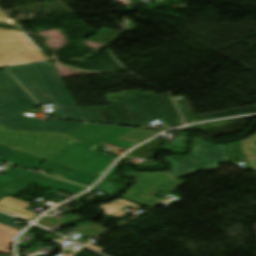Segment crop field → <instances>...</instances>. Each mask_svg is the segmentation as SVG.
<instances>
[{"instance_id":"25","label":"crop field","mask_w":256,"mask_h":256,"mask_svg":"<svg viewBox=\"0 0 256 256\" xmlns=\"http://www.w3.org/2000/svg\"><path fill=\"white\" fill-rule=\"evenodd\" d=\"M43 218H48V219L54 220V221H56L58 223H61V224H65V223H69V222L81 219L80 217H77V216H74V215H70V214H68L64 218L60 219L59 221L56 220V219H53V218L45 217V216H43Z\"/></svg>"},{"instance_id":"6","label":"crop field","mask_w":256,"mask_h":256,"mask_svg":"<svg viewBox=\"0 0 256 256\" xmlns=\"http://www.w3.org/2000/svg\"><path fill=\"white\" fill-rule=\"evenodd\" d=\"M72 140L65 134L14 132L0 126L1 145L44 159Z\"/></svg>"},{"instance_id":"15","label":"crop field","mask_w":256,"mask_h":256,"mask_svg":"<svg viewBox=\"0 0 256 256\" xmlns=\"http://www.w3.org/2000/svg\"><path fill=\"white\" fill-rule=\"evenodd\" d=\"M29 156L30 155L19 152L17 150H13L10 153H8L7 155L0 158V163L2 160H4V161L11 162L14 165H18L22 160L26 159ZM17 178L18 177L8 175V174H6L5 176L0 175V183L8 184Z\"/></svg>"},{"instance_id":"30","label":"crop field","mask_w":256,"mask_h":256,"mask_svg":"<svg viewBox=\"0 0 256 256\" xmlns=\"http://www.w3.org/2000/svg\"><path fill=\"white\" fill-rule=\"evenodd\" d=\"M9 18L0 10V22L1 23H8L7 20Z\"/></svg>"},{"instance_id":"5","label":"crop field","mask_w":256,"mask_h":256,"mask_svg":"<svg viewBox=\"0 0 256 256\" xmlns=\"http://www.w3.org/2000/svg\"><path fill=\"white\" fill-rule=\"evenodd\" d=\"M176 179L195 173L197 170L219 169L222 161H229L225 145L210 144L194 137L191 153L185 156L166 158Z\"/></svg>"},{"instance_id":"22","label":"crop field","mask_w":256,"mask_h":256,"mask_svg":"<svg viewBox=\"0 0 256 256\" xmlns=\"http://www.w3.org/2000/svg\"><path fill=\"white\" fill-rule=\"evenodd\" d=\"M124 185L119 184V183H115L109 180H105L103 179V181L98 184L95 189L101 190L103 192L109 193V194H116L121 187H123Z\"/></svg>"},{"instance_id":"14","label":"crop field","mask_w":256,"mask_h":256,"mask_svg":"<svg viewBox=\"0 0 256 256\" xmlns=\"http://www.w3.org/2000/svg\"><path fill=\"white\" fill-rule=\"evenodd\" d=\"M78 229L76 230H73L79 234H81L82 236L77 238V239H74L82 244H85L87 242H89L88 240L82 238L83 236L90 239V238H93L97 235H99L100 233H102L104 230V228L92 223V222H89V223H86V224H83V225H80V226H77Z\"/></svg>"},{"instance_id":"10","label":"crop field","mask_w":256,"mask_h":256,"mask_svg":"<svg viewBox=\"0 0 256 256\" xmlns=\"http://www.w3.org/2000/svg\"><path fill=\"white\" fill-rule=\"evenodd\" d=\"M176 103H177L179 109L181 110L186 123L195 122V121H203V120L213 119V118L228 117V116H233V115L249 114V113L256 112V107L250 106V107H245V108L228 110V111H224V112L217 113V114L195 117L193 112L189 111L185 101L176 102Z\"/></svg>"},{"instance_id":"12","label":"crop field","mask_w":256,"mask_h":256,"mask_svg":"<svg viewBox=\"0 0 256 256\" xmlns=\"http://www.w3.org/2000/svg\"><path fill=\"white\" fill-rule=\"evenodd\" d=\"M30 204L31 203L7 196L0 201V210L27 220H33V218L36 216V213L23 210Z\"/></svg>"},{"instance_id":"17","label":"crop field","mask_w":256,"mask_h":256,"mask_svg":"<svg viewBox=\"0 0 256 256\" xmlns=\"http://www.w3.org/2000/svg\"><path fill=\"white\" fill-rule=\"evenodd\" d=\"M18 234V230L0 225V252L11 255L9 246Z\"/></svg>"},{"instance_id":"19","label":"crop field","mask_w":256,"mask_h":256,"mask_svg":"<svg viewBox=\"0 0 256 256\" xmlns=\"http://www.w3.org/2000/svg\"><path fill=\"white\" fill-rule=\"evenodd\" d=\"M97 178L98 177L94 175L78 170L74 174H72L70 177L65 179V181H69L72 183L89 187L91 184H93L97 180Z\"/></svg>"},{"instance_id":"8","label":"crop field","mask_w":256,"mask_h":256,"mask_svg":"<svg viewBox=\"0 0 256 256\" xmlns=\"http://www.w3.org/2000/svg\"><path fill=\"white\" fill-rule=\"evenodd\" d=\"M126 176L138 179L137 184L127 191L125 197L140 204L152 207L157 203L140 198L145 193L155 189L159 191H172L179 188L184 181L176 180L170 172L137 173L126 172Z\"/></svg>"},{"instance_id":"28","label":"crop field","mask_w":256,"mask_h":256,"mask_svg":"<svg viewBox=\"0 0 256 256\" xmlns=\"http://www.w3.org/2000/svg\"><path fill=\"white\" fill-rule=\"evenodd\" d=\"M37 223L40 224V225H43L45 227H49V226L55 224V222H52V221L47 220V219H40Z\"/></svg>"},{"instance_id":"27","label":"crop field","mask_w":256,"mask_h":256,"mask_svg":"<svg viewBox=\"0 0 256 256\" xmlns=\"http://www.w3.org/2000/svg\"><path fill=\"white\" fill-rule=\"evenodd\" d=\"M157 192H159V191L153 190V191L149 192L148 194L144 195L142 198H145V199H148V200H151V201H154V202L159 203V202H161L162 200H159V199H157V198L152 197V196L155 195Z\"/></svg>"},{"instance_id":"1","label":"crop field","mask_w":256,"mask_h":256,"mask_svg":"<svg viewBox=\"0 0 256 256\" xmlns=\"http://www.w3.org/2000/svg\"><path fill=\"white\" fill-rule=\"evenodd\" d=\"M104 97L109 107L80 108L87 122L139 128L155 119L171 128L183 124L168 93L136 90Z\"/></svg>"},{"instance_id":"9","label":"crop field","mask_w":256,"mask_h":256,"mask_svg":"<svg viewBox=\"0 0 256 256\" xmlns=\"http://www.w3.org/2000/svg\"><path fill=\"white\" fill-rule=\"evenodd\" d=\"M249 118H254V117L205 123V124L196 125V126H192V127H189L186 129H180V130L198 129L199 131H201V132L207 134L208 136H210L211 138H213V137H217L219 135L243 130L242 126L245 124L244 120L249 119Z\"/></svg>"},{"instance_id":"11","label":"crop field","mask_w":256,"mask_h":256,"mask_svg":"<svg viewBox=\"0 0 256 256\" xmlns=\"http://www.w3.org/2000/svg\"><path fill=\"white\" fill-rule=\"evenodd\" d=\"M43 161H44V159L31 156V157L27 158L26 160L22 161L18 166L31 170V169H34L35 167H37ZM39 169H43V170L52 172L50 174V176H53L56 178H58V177L66 178L76 171L75 169H72V168H69L66 166H62V165H59V164H56V163H53L50 161H47L45 164H43L41 167H39Z\"/></svg>"},{"instance_id":"13","label":"crop field","mask_w":256,"mask_h":256,"mask_svg":"<svg viewBox=\"0 0 256 256\" xmlns=\"http://www.w3.org/2000/svg\"><path fill=\"white\" fill-rule=\"evenodd\" d=\"M7 173L33 181V182H37L49 188L53 187L55 184L59 182V180H55V179L31 172L28 170L17 168V167L11 169Z\"/></svg>"},{"instance_id":"4","label":"crop field","mask_w":256,"mask_h":256,"mask_svg":"<svg viewBox=\"0 0 256 256\" xmlns=\"http://www.w3.org/2000/svg\"><path fill=\"white\" fill-rule=\"evenodd\" d=\"M37 104L19 86L6 70L0 71V125L9 130L70 134L83 123L42 121L25 117L20 112Z\"/></svg>"},{"instance_id":"31","label":"crop field","mask_w":256,"mask_h":256,"mask_svg":"<svg viewBox=\"0 0 256 256\" xmlns=\"http://www.w3.org/2000/svg\"><path fill=\"white\" fill-rule=\"evenodd\" d=\"M80 170L86 171V172H88V173H91V174H94V175H97V176L99 175V173L94 172V171H91V170L86 169V168H84V167H82Z\"/></svg>"},{"instance_id":"24","label":"crop field","mask_w":256,"mask_h":256,"mask_svg":"<svg viewBox=\"0 0 256 256\" xmlns=\"http://www.w3.org/2000/svg\"><path fill=\"white\" fill-rule=\"evenodd\" d=\"M17 221V219H14L12 217L0 214V224L15 228L20 230L21 228H23V226L20 225H16L14 224Z\"/></svg>"},{"instance_id":"20","label":"crop field","mask_w":256,"mask_h":256,"mask_svg":"<svg viewBox=\"0 0 256 256\" xmlns=\"http://www.w3.org/2000/svg\"><path fill=\"white\" fill-rule=\"evenodd\" d=\"M119 31L102 28L96 35H92L87 40L107 44L119 35Z\"/></svg>"},{"instance_id":"7","label":"crop field","mask_w":256,"mask_h":256,"mask_svg":"<svg viewBox=\"0 0 256 256\" xmlns=\"http://www.w3.org/2000/svg\"><path fill=\"white\" fill-rule=\"evenodd\" d=\"M48 60L21 30L0 28V67Z\"/></svg>"},{"instance_id":"23","label":"crop field","mask_w":256,"mask_h":256,"mask_svg":"<svg viewBox=\"0 0 256 256\" xmlns=\"http://www.w3.org/2000/svg\"><path fill=\"white\" fill-rule=\"evenodd\" d=\"M244 154H255L256 155V134L248 139L239 141ZM256 170V167H255Z\"/></svg>"},{"instance_id":"29","label":"crop field","mask_w":256,"mask_h":256,"mask_svg":"<svg viewBox=\"0 0 256 256\" xmlns=\"http://www.w3.org/2000/svg\"><path fill=\"white\" fill-rule=\"evenodd\" d=\"M12 149L0 145V157L10 152Z\"/></svg>"},{"instance_id":"3","label":"crop field","mask_w":256,"mask_h":256,"mask_svg":"<svg viewBox=\"0 0 256 256\" xmlns=\"http://www.w3.org/2000/svg\"><path fill=\"white\" fill-rule=\"evenodd\" d=\"M8 70L39 104L53 103L52 114L86 122L51 62L10 67Z\"/></svg>"},{"instance_id":"2","label":"crop field","mask_w":256,"mask_h":256,"mask_svg":"<svg viewBox=\"0 0 256 256\" xmlns=\"http://www.w3.org/2000/svg\"><path fill=\"white\" fill-rule=\"evenodd\" d=\"M130 130L132 129L87 124L69 135L80 141L79 143L74 142L75 140L68 143L48 160L75 169L84 166L101 173L115 157L91 149L103 143L128 149L135 144L119 141L116 138Z\"/></svg>"},{"instance_id":"16","label":"crop field","mask_w":256,"mask_h":256,"mask_svg":"<svg viewBox=\"0 0 256 256\" xmlns=\"http://www.w3.org/2000/svg\"><path fill=\"white\" fill-rule=\"evenodd\" d=\"M32 183L33 182L19 178L8 185L0 184V199L5 197L7 194L15 196Z\"/></svg>"},{"instance_id":"26","label":"crop field","mask_w":256,"mask_h":256,"mask_svg":"<svg viewBox=\"0 0 256 256\" xmlns=\"http://www.w3.org/2000/svg\"><path fill=\"white\" fill-rule=\"evenodd\" d=\"M245 160L247 162V164L249 165V167L254 170L255 167V162H256V156L254 155H244Z\"/></svg>"},{"instance_id":"18","label":"crop field","mask_w":256,"mask_h":256,"mask_svg":"<svg viewBox=\"0 0 256 256\" xmlns=\"http://www.w3.org/2000/svg\"><path fill=\"white\" fill-rule=\"evenodd\" d=\"M156 133H158V132L134 129L117 139L137 144L140 141H142Z\"/></svg>"},{"instance_id":"21","label":"crop field","mask_w":256,"mask_h":256,"mask_svg":"<svg viewBox=\"0 0 256 256\" xmlns=\"http://www.w3.org/2000/svg\"><path fill=\"white\" fill-rule=\"evenodd\" d=\"M52 189H55V190H58V191H61V192H64V193H68V194H71V195H76V194L86 190V188H84V187H81V186L76 185V184L64 182V181L59 182Z\"/></svg>"}]
</instances>
